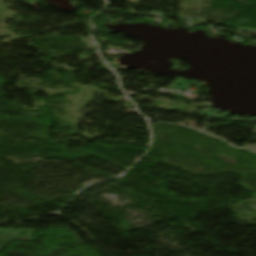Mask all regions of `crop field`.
<instances>
[{
	"label": "crop field",
	"mask_w": 256,
	"mask_h": 256,
	"mask_svg": "<svg viewBox=\"0 0 256 256\" xmlns=\"http://www.w3.org/2000/svg\"><path fill=\"white\" fill-rule=\"evenodd\" d=\"M34 230H0V251L12 240L30 242Z\"/></svg>",
	"instance_id": "crop-field-1"
}]
</instances>
